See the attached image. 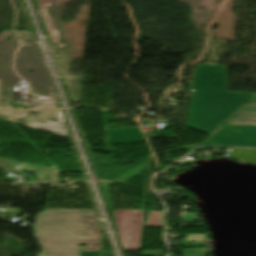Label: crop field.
I'll use <instances>...</instances> for the list:
<instances>
[{
  "mask_svg": "<svg viewBox=\"0 0 256 256\" xmlns=\"http://www.w3.org/2000/svg\"><path fill=\"white\" fill-rule=\"evenodd\" d=\"M81 256H100V252H82Z\"/></svg>",
  "mask_w": 256,
  "mask_h": 256,
  "instance_id": "obj_11",
  "label": "crop field"
},
{
  "mask_svg": "<svg viewBox=\"0 0 256 256\" xmlns=\"http://www.w3.org/2000/svg\"><path fill=\"white\" fill-rule=\"evenodd\" d=\"M115 227L124 250L138 251L142 211L113 210ZM145 227H162L161 212L150 211ZM130 243L132 246L126 247Z\"/></svg>",
  "mask_w": 256,
  "mask_h": 256,
  "instance_id": "obj_3",
  "label": "crop field"
},
{
  "mask_svg": "<svg viewBox=\"0 0 256 256\" xmlns=\"http://www.w3.org/2000/svg\"><path fill=\"white\" fill-rule=\"evenodd\" d=\"M107 145L145 141L139 127L105 131Z\"/></svg>",
  "mask_w": 256,
  "mask_h": 256,
  "instance_id": "obj_5",
  "label": "crop field"
},
{
  "mask_svg": "<svg viewBox=\"0 0 256 256\" xmlns=\"http://www.w3.org/2000/svg\"><path fill=\"white\" fill-rule=\"evenodd\" d=\"M34 236L42 246L39 256H80L81 251H100L103 237L94 210L69 209H46L37 214Z\"/></svg>",
  "mask_w": 256,
  "mask_h": 256,
  "instance_id": "obj_1",
  "label": "crop field"
},
{
  "mask_svg": "<svg viewBox=\"0 0 256 256\" xmlns=\"http://www.w3.org/2000/svg\"><path fill=\"white\" fill-rule=\"evenodd\" d=\"M27 116V111L17 112V111H0V117H13V118H25Z\"/></svg>",
  "mask_w": 256,
  "mask_h": 256,
  "instance_id": "obj_9",
  "label": "crop field"
},
{
  "mask_svg": "<svg viewBox=\"0 0 256 256\" xmlns=\"http://www.w3.org/2000/svg\"><path fill=\"white\" fill-rule=\"evenodd\" d=\"M6 119L14 120V121H22L23 126L39 129L42 131H46V132H50V133H54L62 136H68V130L66 128V125L64 123V120L60 111H58L56 122L47 121L46 123H28V122H24V120L22 119H13V118H6Z\"/></svg>",
  "mask_w": 256,
  "mask_h": 256,
  "instance_id": "obj_6",
  "label": "crop field"
},
{
  "mask_svg": "<svg viewBox=\"0 0 256 256\" xmlns=\"http://www.w3.org/2000/svg\"><path fill=\"white\" fill-rule=\"evenodd\" d=\"M253 95L227 92L226 66L198 64L187 127L211 134Z\"/></svg>",
  "mask_w": 256,
  "mask_h": 256,
  "instance_id": "obj_2",
  "label": "crop field"
},
{
  "mask_svg": "<svg viewBox=\"0 0 256 256\" xmlns=\"http://www.w3.org/2000/svg\"><path fill=\"white\" fill-rule=\"evenodd\" d=\"M233 129L239 130L233 132ZM200 145H219L256 148V126H220Z\"/></svg>",
  "mask_w": 256,
  "mask_h": 256,
  "instance_id": "obj_4",
  "label": "crop field"
},
{
  "mask_svg": "<svg viewBox=\"0 0 256 256\" xmlns=\"http://www.w3.org/2000/svg\"><path fill=\"white\" fill-rule=\"evenodd\" d=\"M51 1L52 0H39V3L41 5L45 20L47 22V25H48V28L50 30V33H51L52 37L54 38L57 46L59 48H63L64 45L62 43H58V41L60 40L59 37H58V31H57L55 25L53 24L52 20L50 19L49 15H48V13L45 9V7H50Z\"/></svg>",
  "mask_w": 256,
  "mask_h": 256,
  "instance_id": "obj_8",
  "label": "crop field"
},
{
  "mask_svg": "<svg viewBox=\"0 0 256 256\" xmlns=\"http://www.w3.org/2000/svg\"><path fill=\"white\" fill-rule=\"evenodd\" d=\"M232 117H235V119H231ZM232 117L225 125H256V100H251Z\"/></svg>",
  "mask_w": 256,
  "mask_h": 256,
  "instance_id": "obj_7",
  "label": "crop field"
},
{
  "mask_svg": "<svg viewBox=\"0 0 256 256\" xmlns=\"http://www.w3.org/2000/svg\"><path fill=\"white\" fill-rule=\"evenodd\" d=\"M101 256H113L110 252H102Z\"/></svg>",
  "mask_w": 256,
  "mask_h": 256,
  "instance_id": "obj_12",
  "label": "crop field"
},
{
  "mask_svg": "<svg viewBox=\"0 0 256 256\" xmlns=\"http://www.w3.org/2000/svg\"><path fill=\"white\" fill-rule=\"evenodd\" d=\"M13 32L4 31L0 34V42H2L4 39H6L8 36H10ZM0 108H12V107H0Z\"/></svg>",
  "mask_w": 256,
  "mask_h": 256,
  "instance_id": "obj_10",
  "label": "crop field"
}]
</instances>
